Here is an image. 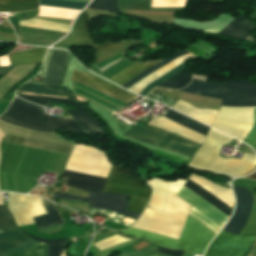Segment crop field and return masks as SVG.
I'll list each match as a JSON object with an SVG mask.
<instances>
[{"instance_id": "8a807250", "label": "crop field", "mask_w": 256, "mask_h": 256, "mask_svg": "<svg viewBox=\"0 0 256 256\" xmlns=\"http://www.w3.org/2000/svg\"><path fill=\"white\" fill-rule=\"evenodd\" d=\"M60 42L62 43H74V44H86V45H95L94 39L92 38L91 35V30L90 26L88 23V18L86 12H82L78 18L76 19L72 32L63 40ZM136 42H121V43H112V42H106L101 45L94 46L95 52H96V57H97V62L104 61L106 59H109L113 56H116L118 54H121L123 51H125L127 48L135 44ZM186 53H189L187 51H181L178 52L172 56H170L168 59L162 61L161 63L149 68L150 66L158 63V62H152V63H135L128 67L127 69L123 70L122 72L118 73L114 77L110 78L113 82L117 83L118 85H123L129 80L133 79L137 75L136 78L133 80L129 81L122 87L127 88L130 86L132 83L136 82L137 80L141 79L142 77L148 75L149 73L153 72L154 70L158 69L162 65L166 64L170 60H172L175 57L184 55ZM192 56V54H187L181 57H178L166 65L162 66L158 70L154 71L153 73L149 74L148 76L144 77L143 79L137 81L136 83L132 84L130 87L127 89L139 94L145 87H147L153 80L157 79L161 75L165 74L166 72L170 71L171 69L175 68L179 64L183 63L182 58ZM160 62V61H159ZM185 64H181L175 69L171 70L170 72L166 73L165 75L161 76L157 80L153 81L146 89H144L140 95L146 96V94L162 82H164L166 79L174 75L175 73L179 72L183 68H185ZM192 75L188 71V69H184L181 72L175 74L171 78H169L167 81L162 83L161 87L164 88H170V89H179L187 86V84L191 81Z\"/></svg>"}, {"instance_id": "ac0d7876", "label": "crop field", "mask_w": 256, "mask_h": 256, "mask_svg": "<svg viewBox=\"0 0 256 256\" xmlns=\"http://www.w3.org/2000/svg\"><path fill=\"white\" fill-rule=\"evenodd\" d=\"M0 129L4 132L10 133V134H16V135H20V136L30 137V138L48 141V142H52V143H57V144H61V145H66V146H70V147L73 146L72 143L63 142L53 134L42 133V132L25 129V128L18 127V126H15L10 123L3 122V121H0ZM10 134H6L0 144L1 159H2L5 149L7 148L8 144H9V141L12 137V135H10ZM25 140H26V138H24V137L13 136V138L11 140V144L9 146V149L7 148L8 151L6 150L7 154L5 151L6 157H5V154L3 156V159H4V157H5V159H4V162L2 159L3 164L1 162V164H2V167L0 166L1 170H2L4 163L8 157V154L11 150L10 147H11L12 143H18V144L23 145ZM52 143L42 142V141L33 140V139H27L25 145L59 153V155H58L56 153L50 152L47 157V160L43 166V169L50 170L57 155H58L51 170L61 173L65 166V163L69 157V154H70V151L72 148L66 147V146H61V145H56V144H52ZM15 145L16 144H13L11 147L12 150H11L9 157L5 163V166L2 170L3 172L6 169V166L9 162V159L11 157V154L14 150ZM22 145L18 146L7 173L0 172V190L18 192L15 174L19 175L22 193H24V191H23L21 175L25 176L28 191H29L30 186L28 187L27 177H29L30 185L32 183L31 177L34 178V182L36 185L35 178H37L39 171L42 167V164H43L48 152L45 150L26 147V146H22ZM12 173L14 174V181H12ZM17 175H16V177H17L18 189H19V192L21 193L19 179H18ZM23 176H22V178H23L24 190H25V193H27L25 179ZM37 185H38V182H37ZM32 186L34 188V183L32 184ZM30 190H31V188H30Z\"/></svg>"}, {"instance_id": "34b2d1b8", "label": "crop field", "mask_w": 256, "mask_h": 256, "mask_svg": "<svg viewBox=\"0 0 256 256\" xmlns=\"http://www.w3.org/2000/svg\"><path fill=\"white\" fill-rule=\"evenodd\" d=\"M221 106H256V84L225 83ZM254 107H221L212 127L242 141L253 125Z\"/></svg>"}, {"instance_id": "412701ff", "label": "crop field", "mask_w": 256, "mask_h": 256, "mask_svg": "<svg viewBox=\"0 0 256 256\" xmlns=\"http://www.w3.org/2000/svg\"><path fill=\"white\" fill-rule=\"evenodd\" d=\"M110 166L111 163L105 161L103 153L75 145L65 169L106 177ZM68 170L61 174L69 177L68 186L87 191L102 190L106 178Z\"/></svg>"}, {"instance_id": "f4fd0767", "label": "crop field", "mask_w": 256, "mask_h": 256, "mask_svg": "<svg viewBox=\"0 0 256 256\" xmlns=\"http://www.w3.org/2000/svg\"><path fill=\"white\" fill-rule=\"evenodd\" d=\"M231 140L232 138L211 128L203 144L191 161L190 166L222 172L228 159L219 157L218 153L220 147L228 144ZM255 164L256 156L245 154L243 160L229 159L223 173L241 176L254 168Z\"/></svg>"}, {"instance_id": "dd49c442", "label": "crop field", "mask_w": 256, "mask_h": 256, "mask_svg": "<svg viewBox=\"0 0 256 256\" xmlns=\"http://www.w3.org/2000/svg\"><path fill=\"white\" fill-rule=\"evenodd\" d=\"M191 205L168 193L164 212L146 208L133 226L173 239H179Z\"/></svg>"}, {"instance_id": "e52e79f7", "label": "crop field", "mask_w": 256, "mask_h": 256, "mask_svg": "<svg viewBox=\"0 0 256 256\" xmlns=\"http://www.w3.org/2000/svg\"><path fill=\"white\" fill-rule=\"evenodd\" d=\"M0 119L18 126L49 133H54L53 129L86 133L73 119H59L45 115L41 107L17 97Z\"/></svg>"}, {"instance_id": "d8731c3e", "label": "crop field", "mask_w": 256, "mask_h": 256, "mask_svg": "<svg viewBox=\"0 0 256 256\" xmlns=\"http://www.w3.org/2000/svg\"><path fill=\"white\" fill-rule=\"evenodd\" d=\"M120 232L135 237L143 236L163 247L172 249H185L201 256L207 244L215 236V234H213L203 224H201L199 221L192 218L191 216H188L187 218L185 227L179 241L133 228Z\"/></svg>"}, {"instance_id": "5a996713", "label": "crop field", "mask_w": 256, "mask_h": 256, "mask_svg": "<svg viewBox=\"0 0 256 256\" xmlns=\"http://www.w3.org/2000/svg\"><path fill=\"white\" fill-rule=\"evenodd\" d=\"M183 187L187 188L188 190H190L191 192H193L194 194H196L197 196H199L200 198H202L203 200H205L206 202H208L209 204H211L212 206H214L215 208H217L218 210H220L221 212L230 217L231 208H229L221 201H219L218 199H216L215 197L201 189L199 186H197L190 180H187ZM185 188H182V190L179 193H177L179 197L187 201L189 204H191L192 206L206 214L208 217H210L220 225L223 226L227 222L229 217H227L226 215H224L223 213H221L208 203L204 202L203 200H201L200 198H198ZM194 207H191L189 213L198 218L203 223H205L210 229H212L217 234V232L220 230L222 226L208 218L206 215H204Z\"/></svg>"}, {"instance_id": "3316defc", "label": "crop field", "mask_w": 256, "mask_h": 256, "mask_svg": "<svg viewBox=\"0 0 256 256\" xmlns=\"http://www.w3.org/2000/svg\"><path fill=\"white\" fill-rule=\"evenodd\" d=\"M103 191L131 195L126 209L141 214L149 200L151 188L145 187L135 175L112 165Z\"/></svg>"}, {"instance_id": "28ad6ade", "label": "crop field", "mask_w": 256, "mask_h": 256, "mask_svg": "<svg viewBox=\"0 0 256 256\" xmlns=\"http://www.w3.org/2000/svg\"><path fill=\"white\" fill-rule=\"evenodd\" d=\"M232 187L236 199V207L232 218L223 230L238 234L249 217L253 201L250 217L239 234L256 235V196L252 194L251 201V192L249 190L235 186Z\"/></svg>"}, {"instance_id": "d1516ede", "label": "crop field", "mask_w": 256, "mask_h": 256, "mask_svg": "<svg viewBox=\"0 0 256 256\" xmlns=\"http://www.w3.org/2000/svg\"><path fill=\"white\" fill-rule=\"evenodd\" d=\"M124 136L144 141L186 156L191 157L197 147V144L180 137L134 126L126 131ZM199 146V145H198Z\"/></svg>"}, {"instance_id": "22f410ed", "label": "crop field", "mask_w": 256, "mask_h": 256, "mask_svg": "<svg viewBox=\"0 0 256 256\" xmlns=\"http://www.w3.org/2000/svg\"><path fill=\"white\" fill-rule=\"evenodd\" d=\"M167 112H168V114L165 118L172 120L178 124H181L187 128H190V129L206 136V134L209 130V127H207L195 120H192L180 113H177L171 109L167 110ZM163 117H159L157 119H152V121L149 123V126H153L156 128H160L163 130L177 133L181 136H184L188 139L194 140V141L202 144L203 140L205 139V136H203L199 133H196L190 129H187L181 125H178L172 121H169Z\"/></svg>"}, {"instance_id": "cbeb9de0", "label": "crop field", "mask_w": 256, "mask_h": 256, "mask_svg": "<svg viewBox=\"0 0 256 256\" xmlns=\"http://www.w3.org/2000/svg\"><path fill=\"white\" fill-rule=\"evenodd\" d=\"M68 55H69L68 53L61 50L54 51L53 56L49 63L44 84L59 85L63 67L67 61ZM19 90L44 93V94L69 95L68 87H64V86H51V85H39V84L27 83L23 85Z\"/></svg>"}, {"instance_id": "5142ce71", "label": "crop field", "mask_w": 256, "mask_h": 256, "mask_svg": "<svg viewBox=\"0 0 256 256\" xmlns=\"http://www.w3.org/2000/svg\"><path fill=\"white\" fill-rule=\"evenodd\" d=\"M255 239L256 236H239L221 231L205 256H245Z\"/></svg>"}, {"instance_id": "d9b57169", "label": "crop field", "mask_w": 256, "mask_h": 256, "mask_svg": "<svg viewBox=\"0 0 256 256\" xmlns=\"http://www.w3.org/2000/svg\"><path fill=\"white\" fill-rule=\"evenodd\" d=\"M30 240L31 239L23 236L21 233H19L16 230L1 232L0 233V253L10 250L19 245H22ZM38 243L39 242L32 240L27 244H24L15 249H12L10 251L2 253V254H0V256H12V255L17 254L23 250H26ZM45 255H46V245H43L40 243V244H38L26 251H23L17 255H14V256H45Z\"/></svg>"}, {"instance_id": "733c2abd", "label": "crop field", "mask_w": 256, "mask_h": 256, "mask_svg": "<svg viewBox=\"0 0 256 256\" xmlns=\"http://www.w3.org/2000/svg\"><path fill=\"white\" fill-rule=\"evenodd\" d=\"M8 208L17 226L34 223L32 217L46 213L41 199L15 193H9Z\"/></svg>"}, {"instance_id": "4a817a6b", "label": "crop field", "mask_w": 256, "mask_h": 256, "mask_svg": "<svg viewBox=\"0 0 256 256\" xmlns=\"http://www.w3.org/2000/svg\"><path fill=\"white\" fill-rule=\"evenodd\" d=\"M16 95L32 103H36V104H40L48 107L52 105V102L69 103L76 108L70 111L69 114L73 118H75L88 133L104 132L101 125L97 121H95L86 111H84L83 107L74 100L46 97V96L19 95V94H16Z\"/></svg>"}, {"instance_id": "bc2a9ffb", "label": "crop field", "mask_w": 256, "mask_h": 256, "mask_svg": "<svg viewBox=\"0 0 256 256\" xmlns=\"http://www.w3.org/2000/svg\"><path fill=\"white\" fill-rule=\"evenodd\" d=\"M54 198H67V199H75V200H85L90 201V208L98 207L109 209L112 211H116L119 213H123L138 219L139 214L124 211L125 207L127 206L129 196L126 195H118V194H108V193H100V192H93L89 193V198H80L70 195H63V194H54Z\"/></svg>"}, {"instance_id": "214f88e0", "label": "crop field", "mask_w": 256, "mask_h": 256, "mask_svg": "<svg viewBox=\"0 0 256 256\" xmlns=\"http://www.w3.org/2000/svg\"><path fill=\"white\" fill-rule=\"evenodd\" d=\"M71 80L74 82H78V83L87 85L105 95L114 97L123 102L129 103L137 98V97H135L127 92H124V91H122V90L96 78V77L86 75V74L78 72L76 70L74 71V74H73Z\"/></svg>"}, {"instance_id": "92a150f3", "label": "crop field", "mask_w": 256, "mask_h": 256, "mask_svg": "<svg viewBox=\"0 0 256 256\" xmlns=\"http://www.w3.org/2000/svg\"><path fill=\"white\" fill-rule=\"evenodd\" d=\"M153 187L152 198L148 204L149 208L163 211L167 192L177 193L181 190L184 180L177 179L176 182L154 178L147 181Z\"/></svg>"}, {"instance_id": "dafd665d", "label": "crop field", "mask_w": 256, "mask_h": 256, "mask_svg": "<svg viewBox=\"0 0 256 256\" xmlns=\"http://www.w3.org/2000/svg\"><path fill=\"white\" fill-rule=\"evenodd\" d=\"M254 28L249 19L243 14L240 17L234 19L223 31L219 34L237 38L245 39L249 37V32Z\"/></svg>"}, {"instance_id": "00972430", "label": "crop field", "mask_w": 256, "mask_h": 256, "mask_svg": "<svg viewBox=\"0 0 256 256\" xmlns=\"http://www.w3.org/2000/svg\"><path fill=\"white\" fill-rule=\"evenodd\" d=\"M224 83H206L194 80L181 91L221 99Z\"/></svg>"}, {"instance_id": "a9b5d70f", "label": "crop field", "mask_w": 256, "mask_h": 256, "mask_svg": "<svg viewBox=\"0 0 256 256\" xmlns=\"http://www.w3.org/2000/svg\"><path fill=\"white\" fill-rule=\"evenodd\" d=\"M47 48L37 47L9 55L11 65L42 62Z\"/></svg>"}, {"instance_id": "4177f3b9", "label": "crop field", "mask_w": 256, "mask_h": 256, "mask_svg": "<svg viewBox=\"0 0 256 256\" xmlns=\"http://www.w3.org/2000/svg\"><path fill=\"white\" fill-rule=\"evenodd\" d=\"M174 107L210 126L218 112L214 110H198V109H195L193 105L188 104L181 100H179Z\"/></svg>"}, {"instance_id": "730fd06b", "label": "crop field", "mask_w": 256, "mask_h": 256, "mask_svg": "<svg viewBox=\"0 0 256 256\" xmlns=\"http://www.w3.org/2000/svg\"><path fill=\"white\" fill-rule=\"evenodd\" d=\"M42 201H43V205L48 214L33 218L34 222L37 226V229L40 230V229H44L47 227L63 224L55 207H54V204L52 202H49V201H46L43 199H42Z\"/></svg>"}, {"instance_id": "eef30255", "label": "crop field", "mask_w": 256, "mask_h": 256, "mask_svg": "<svg viewBox=\"0 0 256 256\" xmlns=\"http://www.w3.org/2000/svg\"><path fill=\"white\" fill-rule=\"evenodd\" d=\"M37 9L36 0H0V12H19Z\"/></svg>"}, {"instance_id": "ae1a2a85", "label": "crop field", "mask_w": 256, "mask_h": 256, "mask_svg": "<svg viewBox=\"0 0 256 256\" xmlns=\"http://www.w3.org/2000/svg\"><path fill=\"white\" fill-rule=\"evenodd\" d=\"M21 231V230H19ZM23 232V231H21ZM24 234L36 239L37 241H40V242H44L46 244H48V254L47 256H60L63 248H64V245H65V242H66V238H63V239H60V240H43V239H39V238H36V237H33L25 232H23Z\"/></svg>"}, {"instance_id": "d3111659", "label": "crop field", "mask_w": 256, "mask_h": 256, "mask_svg": "<svg viewBox=\"0 0 256 256\" xmlns=\"http://www.w3.org/2000/svg\"><path fill=\"white\" fill-rule=\"evenodd\" d=\"M39 4L81 10L87 4L67 0H39Z\"/></svg>"}, {"instance_id": "750c4746", "label": "crop field", "mask_w": 256, "mask_h": 256, "mask_svg": "<svg viewBox=\"0 0 256 256\" xmlns=\"http://www.w3.org/2000/svg\"><path fill=\"white\" fill-rule=\"evenodd\" d=\"M88 8L104 9L114 13H120L117 0H93Z\"/></svg>"}, {"instance_id": "bd1437ed", "label": "crop field", "mask_w": 256, "mask_h": 256, "mask_svg": "<svg viewBox=\"0 0 256 256\" xmlns=\"http://www.w3.org/2000/svg\"><path fill=\"white\" fill-rule=\"evenodd\" d=\"M16 229L7 206H0V230Z\"/></svg>"}, {"instance_id": "1d83c4d3", "label": "crop field", "mask_w": 256, "mask_h": 256, "mask_svg": "<svg viewBox=\"0 0 256 256\" xmlns=\"http://www.w3.org/2000/svg\"><path fill=\"white\" fill-rule=\"evenodd\" d=\"M127 240L128 239H125V238H122V237L116 235V236H113L111 238H108V239H105V240L93 243V245L95 247H97L101 251V250H103V249H105L107 247L116 245L118 243H121V242H124V241H127Z\"/></svg>"}, {"instance_id": "120bbe31", "label": "crop field", "mask_w": 256, "mask_h": 256, "mask_svg": "<svg viewBox=\"0 0 256 256\" xmlns=\"http://www.w3.org/2000/svg\"><path fill=\"white\" fill-rule=\"evenodd\" d=\"M186 0H152L151 7H183Z\"/></svg>"}, {"instance_id": "d32e631a", "label": "crop field", "mask_w": 256, "mask_h": 256, "mask_svg": "<svg viewBox=\"0 0 256 256\" xmlns=\"http://www.w3.org/2000/svg\"><path fill=\"white\" fill-rule=\"evenodd\" d=\"M255 126L254 128L251 130V132L256 134V109H255ZM247 136V138L244 140V142H246L247 144H249L251 147L256 149V135L251 133Z\"/></svg>"}, {"instance_id": "5866460e", "label": "crop field", "mask_w": 256, "mask_h": 256, "mask_svg": "<svg viewBox=\"0 0 256 256\" xmlns=\"http://www.w3.org/2000/svg\"><path fill=\"white\" fill-rule=\"evenodd\" d=\"M154 251H157V252L169 255V256H182L184 253V251H171V250H168V249H165L162 247H160Z\"/></svg>"}, {"instance_id": "028f5c9d", "label": "crop field", "mask_w": 256, "mask_h": 256, "mask_svg": "<svg viewBox=\"0 0 256 256\" xmlns=\"http://www.w3.org/2000/svg\"><path fill=\"white\" fill-rule=\"evenodd\" d=\"M0 64H1V66L10 65L8 55L0 57Z\"/></svg>"}, {"instance_id": "e1f06a70", "label": "crop field", "mask_w": 256, "mask_h": 256, "mask_svg": "<svg viewBox=\"0 0 256 256\" xmlns=\"http://www.w3.org/2000/svg\"><path fill=\"white\" fill-rule=\"evenodd\" d=\"M245 178L256 179V172Z\"/></svg>"}, {"instance_id": "0bd39190", "label": "crop field", "mask_w": 256, "mask_h": 256, "mask_svg": "<svg viewBox=\"0 0 256 256\" xmlns=\"http://www.w3.org/2000/svg\"><path fill=\"white\" fill-rule=\"evenodd\" d=\"M0 205H3V198H2V194L0 193Z\"/></svg>"}, {"instance_id": "b80d0937", "label": "crop field", "mask_w": 256, "mask_h": 256, "mask_svg": "<svg viewBox=\"0 0 256 256\" xmlns=\"http://www.w3.org/2000/svg\"><path fill=\"white\" fill-rule=\"evenodd\" d=\"M4 135H5V134L0 130V141H1V139L3 138Z\"/></svg>"}, {"instance_id": "c035e120", "label": "crop field", "mask_w": 256, "mask_h": 256, "mask_svg": "<svg viewBox=\"0 0 256 256\" xmlns=\"http://www.w3.org/2000/svg\"><path fill=\"white\" fill-rule=\"evenodd\" d=\"M7 67L0 68V73L5 70Z\"/></svg>"}, {"instance_id": "c21b1889", "label": "crop field", "mask_w": 256, "mask_h": 256, "mask_svg": "<svg viewBox=\"0 0 256 256\" xmlns=\"http://www.w3.org/2000/svg\"><path fill=\"white\" fill-rule=\"evenodd\" d=\"M61 256H67L65 250L63 251V253L61 254Z\"/></svg>"}, {"instance_id": "03da06ac", "label": "crop field", "mask_w": 256, "mask_h": 256, "mask_svg": "<svg viewBox=\"0 0 256 256\" xmlns=\"http://www.w3.org/2000/svg\"><path fill=\"white\" fill-rule=\"evenodd\" d=\"M148 256H157V255H148Z\"/></svg>"}]
</instances>
